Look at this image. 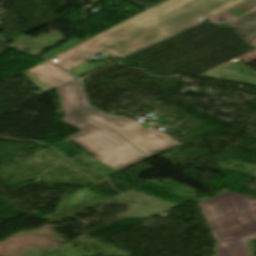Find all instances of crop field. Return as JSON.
<instances>
[{"mask_svg": "<svg viewBox=\"0 0 256 256\" xmlns=\"http://www.w3.org/2000/svg\"><path fill=\"white\" fill-rule=\"evenodd\" d=\"M56 89L65 115L61 121L81 130L62 141L77 143L119 171L177 146L164 132L146 129L127 117L111 118L88 107L78 79Z\"/></svg>", "mask_w": 256, "mask_h": 256, "instance_id": "8a807250", "label": "crop field"}, {"mask_svg": "<svg viewBox=\"0 0 256 256\" xmlns=\"http://www.w3.org/2000/svg\"><path fill=\"white\" fill-rule=\"evenodd\" d=\"M244 0H167L49 60L70 70L104 50L120 58ZM200 22V21H199Z\"/></svg>", "mask_w": 256, "mask_h": 256, "instance_id": "ac0d7876", "label": "crop field"}, {"mask_svg": "<svg viewBox=\"0 0 256 256\" xmlns=\"http://www.w3.org/2000/svg\"><path fill=\"white\" fill-rule=\"evenodd\" d=\"M216 239L215 256H250L256 238V199L226 191L199 204Z\"/></svg>", "mask_w": 256, "mask_h": 256, "instance_id": "34b2d1b8", "label": "crop field"}, {"mask_svg": "<svg viewBox=\"0 0 256 256\" xmlns=\"http://www.w3.org/2000/svg\"><path fill=\"white\" fill-rule=\"evenodd\" d=\"M25 74L32 78L30 82L44 92L75 79L47 61L25 72Z\"/></svg>", "mask_w": 256, "mask_h": 256, "instance_id": "412701ff", "label": "crop field"}, {"mask_svg": "<svg viewBox=\"0 0 256 256\" xmlns=\"http://www.w3.org/2000/svg\"><path fill=\"white\" fill-rule=\"evenodd\" d=\"M204 75L233 80H242L256 84V74L243 67L242 65L235 63H228Z\"/></svg>", "mask_w": 256, "mask_h": 256, "instance_id": "f4fd0767", "label": "crop field"}, {"mask_svg": "<svg viewBox=\"0 0 256 256\" xmlns=\"http://www.w3.org/2000/svg\"><path fill=\"white\" fill-rule=\"evenodd\" d=\"M80 43H82V42H80L78 40H74V41H72V42H70V43H68V44L58 48L57 50H55V51H53V52L43 56L42 58L48 60V59H50V58H52V57H54V56H56V55H58V54H60V53H62L64 51H66V50H68V49H70V48H72V47H74V46H76V45H78Z\"/></svg>", "mask_w": 256, "mask_h": 256, "instance_id": "dd49c442", "label": "crop field"}, {"mask_svg": "<svg viewBox=\"0 0 256 256\" xmlns=\"http://www.w3.org/2000/svg\"><path fill=\"white\" fill-rule=\"evenodd\" d=\"M97 69L96 67H93L91 65H89L88 63L70 71L71 73H73L74 75L80 77L88 72H91L93 70Z\"/></svg>", "mask_w": 256, "mask_h": 256, "instance_id": "e52e79f7", "label": "crop field"}, {"mask_svg": "<svg viewBox=\"0 0 256 256\" xmlns=\"http://www.w3.org/2000/svg\"><path fill=\"white\" fill-rule=\"evenodd\" d=\"M92 194V192L88 191V190H83L81 192H79L78 194L72 196L70 199H69V202L68 204L69 205H73L75 203H78L81 199L87 197L88 195Z\"/></svg>", "mask_w": 256, "mask_h": 256, "instance_id": "d8731c3e", "label": "crop field"}, {"mask_svg": "<svg viewBox=\"0 0 256 256\" xmlns=\"http://www.w3.org/2000/svg\"><path fill=\"white\" fill-rule=\"evenodd\" d=\"M130 1H132L135 4H137V5L146 9V8H148V7L154 5V4H156V3H158L162 0H130Z\"/></svg>", "mask_w": 256, "mask_h": 256, "instance_id": "5a996713", "label": "crop field"}, {"mask_svg": "<svg viewBox=\"0 0 256 256\" xmlns=\"http://www.w3.org/2000/svg\"><path fill=\"white\" fill-rule=\"evenodd\" d=\"M92 1H96V0H92Z\"/></svg>", "mask_w": 256, "mask_h": 256, "instance_id": "3316defc", "label": "crop field"}]
</instances>
